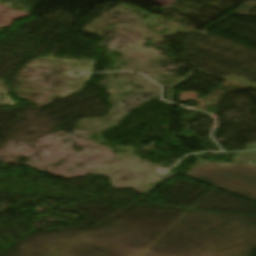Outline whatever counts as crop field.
<instances>
[{
  "instance_id": "8a807250",
  "label": "crop field",
  "mask_w": 256,
  "mask_h": 256,
  "mask_svg": "<svg viewBox=\"0 0 256 256\" xmlns=\"http://www.w3.org/2000/svg\"><path fill=\"white\" fill-rule=\"evenodd\" d=\"M185 175L256 200V165L209 163L200 160Z\"/></svg>"
},
{
  "instance_id": "ac0d7876",
  "label": "crop field",
  "mask_w": 256,
  "mask_h": 256,
  "mask_svg": "<svg viewBox=\"0 0 256 256\" xmlns=\"http://www.w3.org/2000/svg\"><path fill=\"white\" fill-rule=\"evenodd\" d=\"M150 1L160 4L166 8H168L169 5L173 2V0H150Z\"/></svg>"
}]
</instances>
